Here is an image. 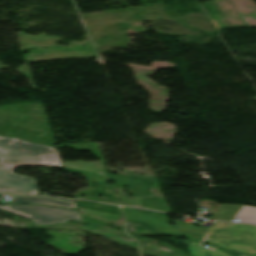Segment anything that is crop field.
Returning <instances> with one entry per match:
<instances>
[{"mask_svg": "<svg viewBox=\"0 0 256 256\" xmlns=\"http://www.w3.org/2000/svg\"><path fill=\"white\" fill-rule=\"evenodd\" d=\"M17 166L63 167L54 147L0 136V193L38 195L35 179L12 172Z\"/></svg>", "mask_w": 256, "mask_h": 256, "instance_id": "1", "label": "crop field"}, {"mask_svg": "<svg viewBox=\"0 0 256 256\" xmlns=\"http://www.w3.org/2000/svg\"><path fill=\"white\" fill-rule=\"evenodd\" d=\"M200 242L216 244L245 254H256V226L216 222L207 229Z\"/></svg>", "mask_w": 256, "mask_h": 256, "instance_id": "2", "label": "crop field"}, {"mask_svg": "<svg viewBox=\"0 0 256 256\" xmlns=\"http://www.w3.org/2000/svg\"><path fill=\"white\" fill-rule=\"evenodd\" d=\"M0 209L29 218L37 225L67 223V219L83 222L80 212L75 210L56 209L36 205H6Z\"/></svg>", "mask_w": 256, "mask_h": 256, "instance_id": "3", "label": "crop field"}, {"mask_svg": "<svg viewBox=\"0 0 256 256\" xmlns=\"http://www.w3.org/2000/svg\"><path fill=\"white\" fill-rule=\"evenodd\" d=\"M127 221L146 224L151 234H179V231L169 225L170 219L163 214L141 212L126 207L123 208Z\"/></svg>", "mask_w": 256, "mask_h": 256, "instance_id": "4", "label": "crop field"}, {"mask_svg": "<svg viewBox=\"0 0 256 256\" xmlns=\"http://www.w3.org/2000/svg\"><path fill=\"white\" fill-rule=\"evenodd\" d=\"M110 175L114 184L118 186L124 185L127 187L126 191L128 192L129 195H134L136 197L149 196L147 192V185L145 182L122 177V176H117L113 174H110ZM142 201L145 202L146 207L149 209L165 211L160 199L150 198Z\"/></svg>", "mask_w": 256, "mask_h": 256, "instance_id": "5", "label": "crop field"}, {"mask_svg": "<svg viewBox=\"0 0 256 256\" xmlns=\"http://www.w3.org/2000/svg\"><path fill=\"white\" fill-rule=\"evenodd\" d=\"M187 247V250L191 256H230L224 250L211 246L209 249H205L202 243L194 242V241H184Z\"/></svg>", "mask_w": 256, "mask_h": 256, "instance_id": "6", "label": "crop field"}, {"mask_svg": "<svg viewBox=\"0 0 256 256\" xmlns=\"http://www.w3.org/2000/svg\"><path fill=\"white\" fill-rule=\"evenodd\" d=\"M14 203H39V204L55 205V206H62V207H68V208H77L75 202L64 201L56 198L12 197L10 204H14Z\"/></svg>", "mask_w": 256, "mask_h": 256, "instance_id": "7", "label": "crop field"}, {"mask_svg": "<svg viewBox=\"0 0 256 256\" xmlns=\"http://www.w3.org/2000/svg\"><path fill=\"white\" fill-rule=\"evenodd\" d=\"M240 219L245 223L256 224V208L244 206L240 213L234 219Z\"/></svg>", "mask_w": 256, "mask_h": 256, "instance_id": "8", "label": "crop field"}]
</instances>
